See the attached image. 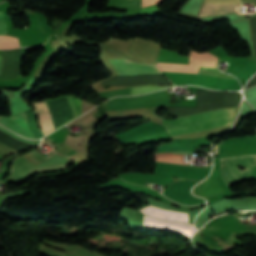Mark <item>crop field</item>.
Here are the masks:
<instances>
[{"label": "crop field", "instance_id": "obj_1", "mask_svg": "<svg viewBox=\"0 0 256 256\" xmlns=\"http://www.w3.org/2000/svg\"><path fill=\"white\" fill-rule=\"evenodd\" d=\"M237 108H219L178 119H163L162 126L170 135L189 134L201 130L231 125L235 119Z\"/></svg>", "mask_w": 256, "mask_h": 256}, {"label": "crop field", "instance_id": "obj_2", "mask_svg": "<svg viewBox=\"0 0 256 256\" xmlns=\"http://www.w3.org/2000/svg\"><path fill=\"white\" fill-rule=\"evenodd\" d=\"M218 63H219V59L208 52L198 53V52L192 51L190 54V64L216 67ZM156 66L160 70L181 71V72H191V73H197V69H198V66L161 63V62H157ZM213 67L199 66L198 73L208 75V76H214V77L235 79L233 76L221 73L219 72L218 68H213Z\"/></svg>", "mask_w": 256, "mask_h": 256}, {"label": "crop field", "instance_id": "obj_3", "mask_svg": "<svg viewBox=\"0 0 256 256\" xmlns=\"http://www.w3.org/2000/svg\"><path fill=\"white\" fill-rule=\"evenodd\" d=\"M217 149V146H216ZM216 153V150H215ZM254 166H256V155H253ZM243 167L240 171L237 167ZM221 180L227 186L244 179H252L253 161L252 155L220 158Z\"/></svg>", "mask_w": 256, "mask_h": 256}, {"label": "crop field", "instance_id": "obj_4", "mask_svg": "<svg viewBox=\"0 0 256 256\" xmlns=\"http://www.w3.org/2000/svg\"><path fill=\"white\" fill-rule=\"evenodd\" d=\"M50 108V114L55 128L60 127L80 115L82 100L73 95L45 100Z\"/></svg>", "mask_w": 256, "mask_h": 256}, {"label": "crop field", "instance_id": "obj_5", "mask_svg": "<svg viewBox=\"0 0 256 256\" xmlns=\"http://www.w3.org/2000/svg\"><path fill=\"white\" fill-rule=\"evenodd\" d=\"M117 74H155L160 73L155 66L134 63L125 59H110Z\"/></svg>", "mask_w": 256, "mask_h": 256}, {"label": "crop field", "instance_id": "obj_6", "mask_svg": "<svg viewBox=\"0 0 256 256\" xmlns=\"http://www.w3.org/2000/svg\"><path fill=\"white\" fill-rule=\"evenodd\" d=\"M204 3L241 4L239 0H205ZM242 5L204 4L199 17L241 12Z\"/></svg>", "mask_w": 256, "mask_h": 256}, {"label": "crop field", "instance_id": "obj_7", "mask_svg": "<svg viewBox=\"0 0 256 256\" xmlns=\"http://www.w3.org/2000/svg\"><path fill=\"white\" fill-rule=\"evenodd\" d=\"M0 122L22 136L35 139L34 134L27 125V117L25 112L9 117L0 116Z\"/></svg>", "mask_w": 256, "mask_h": 256}, {"label": "crop field", "instance_id": "obj_8", "mask_svg": "<svg viewBox=\"0 0 256 256\" xmlns=\"http://www.w3.org/2000/svg\"><path fill=\"white\" fill-rule=\"evenodd\" d=\"M193 193L199 196L211 198L223 194L224 191L218 178H207L195 187Z\"/></svg>", "mask_w": 256, "mask_h": 256}, {"label": "crop field", "instance_id": "obj_9", "mask_svg": "<svg viewBox=\"0 0 256 256\" xmlns=\"http://www.w3.org/2000/svg\"><path fill=\"white\" fill-rule=\"evenodd\" d=\"M0 35H6V23L2 12H0ZM20 47L18 39L9 36H0V49H11Z\"/></svg>", "mask_w": 256, "mask_h": 256}, {"label": "crop field", "instance_id": "obj_10", "mask_svg": "<svg viewBox=\"0 0 256 256\" xmlns=\"http://www.w3.org/2000/svg\"><path fill=\"white\" fill-rule=\"evenodd\" d=\"M231 202V200H227V199H222L212 205H210L209 207H207L204 211H202L196 218L195 223H196V227L200 228L203 224H205L208 220H210L209 217V212H211L212 210L219 208L227 203Z\"/></svg>", "mask_w": 256, "mask_h": 256}, {"label": "crop field", "instance_id": "obj_11", "mask_svg": "<svg viewBox=\"0 0 256 256\" xmlns=\"http://www.w3.org/2000/svg\"><path fill=\"white\" fill-rule=\"evenodd\" d=\"M256 69V57L255 58H249V62L247 63V65L242 68L237 74L236 76L238 77V79L240 80V82L242 83L247 76L254 70Z\"/></svg>", "mask_w": 256, "mask_h": 256}, {"label": "crop field", "instance_id": "obj_12", "mask_svg": "<svg viewBox=\"0 0 256 256\" xmlns=\"http://www.w3.org/2000/svg\"><path fill=\"white\" fill-rule=\"evenodd\" d=\"M172 86H167V87H158V86H140V87H134L130 88L131 95L132 94H141L144 92L152 91V90H157V89H163V88H168Z\"/></svg>", "mask_w": 256, "mask_h": 256}, {"label": "crop field", "instance_id": "obj_13", "mask_svg": "<svg viewBox=\"0 0 256 256\" xmlns=\"http://www.w3.org/2000/svg\"><path fill=\"white\" fill-rule=\"evenodd\" d=\"M161 1L162 0H142V7L150 5V4H157V3L161 2Z\"/></svg>", "mask_w": 256, "mask_h": 256}, {"label": "crop field", "instance_id": "obj_14", "mask_svg": "<svg viewBox=\"0 0 256 256\" xmlns=\"http://www.w3.org/2000/svg\"><path fill=\"white\" fill-rule=\"evenodd\" d=\"M48 157V156H47Z\"/></svg>", "mask_w": 256, "mask_h": 256}, {"label": "crop field", "instance_id": "obj_15", "mask_svg": "<svg viewBox=\"0 0 256 256\" xmlns=\"http://www.w3.org/2000/svg\"><path fill=\"white\" fill-rule=\"evenodd\" d=\"M69 125V124H68Z\"/></svg>", "mask_w": 256, "mask_h": 256}]
</instances>
